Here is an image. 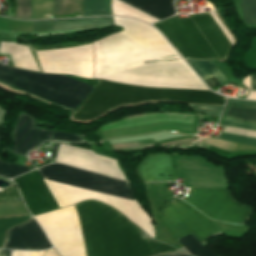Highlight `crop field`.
<instances>
[{"instance_id":"crop-field-15","label":"crop field","mask_w":256,"mask_h":256,"mask_svg":"<svg viewBox=\"0 0 256 256\" xmlns=\"http://www.w3.org/2000/svg\"><path fill=\"white\" fill-rule=\"evenodd\" d=\"M193 118L194 116H187V115L147 114V115L127 118L123 121L109 124L101 128V131L138 126V125H145V124H152V123H158V122H164V121L193 123Z\"/></svg>"},{"instance_id":"crop-field-28","label":"crop field","mask_w":256,"mask_h":256,"mask_svg":"<svg viewBox=\"0 0 256 256\" xmlns=\"http://www.w3.org/2000/svg\"><path fill=\"white\" fill-rule=\"evenodd\" d=\"M12 256H44V251H41V252L14 251Z\"/></svg>"},{"instance_id":"crop-field-21","label":"crop field","mask_w":256,"mask_h":256,"mask_svg":"<svg viewBox=\"0 0 256 256\" xmlns=\"http://www.w3.org/2000/svg\"><path fill=\"white\" fill-rule=\"evenodd\" d=\"M224 132L238 134V135H244V136H250V137H256V132L241 130V129H237V128L225 127ZM226 133L222 134L221 139L256 146V138H250V137H244V136H238V135H232V134H226Z\"/></svg>"},{"instance_id":"crop-field-12","label":"crop field","mask_w":256,"mask_h":256,"mask_svg":"<svg viewBox=\"0 0 256 256\" xmlns=\"http://www.w3.org/2000/svg\"><path fill=\"white\" fill-rule=\"evenodd\" d=\"M51 247L38 224L31 218L7 233L4 244L6 249L41 250Z\"/></svg>"},{"instance_id":"crop-field-1","label":"crop field","mask_w":256,"mask_h":256,"mask_svg":"<svg viewBox=\"0 0 256 256\" xmlns=\"http://www.w3.org/2000/svg\"><path fill=\"white\" fill-rule=\"evenodd\" d=\"M37 170L45 179L136 201L127 182L59 164ZM45 179L43 180L59 208L83 199L103 201L123 212L132 222L155 238L152 220L138 202ZM95 200L74 205L86 256H153L175 251L167 245L144 239L140 228L123 214ZM74 207L72 205L35 216L61 256H85Z\"/></svg>"},{"instance_id":"crop-field-3","label":"crop field","mask_w":256,"mask_h":256,"mask_svg":"<svg viewBox=\"0 0 256 256\" xmlns=\"http://www.w3.org/2000/svg\"><path fill=\"white\" fill-rule=\"evenodd\" d=\"M227 98L205 91L155 89L100 80L87 99L71 114L74 121H91L115 107L143 102L172 101L224 105ZM193 110L220 115L223 106L189 104Z\"/></svg>"},{"instance_id":"crop-field-25","label":"crop field","mask_w":256,"mask_h":256,"mask_svg":"<svg viewBox=\"0 0 256 256\" xmlns=\"http://www.w3.org/2000/svg\"><path fill=\"white\" fill-rule=\"evenodd\" d=\"M17 18L30 19V0H15Z\"/></svg>"},{"instance_id":"crop-field-10","label":"crop field","mask_w":256,"mask_h":256,"mask_svg":"<svg viewBox=\"0 0 256 256\" xmlns=\"http://www.w3.org/2000/svg\"><path fill=\"white\" fill-rule=\"evenodd\" d=\"M55 161L126 180L117 161L96 155L90 150L61 144Z\"/></svg>"},{"instance_id":"crop-field-4","label":"crop field","mask_w":256,"mask_h":256,"mask_svg":"<svg viewBox=\"0 0 256 256\" xmlns=\"http://www.w3.org/2000/svg\"><path fill=\"white\" fill-rule=\"evenodd\" d=\"M153 26L187 59L226 58L232 47L210 12L189 18L176 15Z\"/></svg>"},{"instance_id":"crop-field-29","label":"crop field","mask_w":256,"mask_h":256,"mask_svg":"<svg viewBox=\"0 0 256 256\" xmlns=\"http://www.w3.org/2000/svg\"><path fill=\"white\" fill-rule=\"evenodd\" d=\"M45 256H59L54 249H49L46 251Z\"/></svg>"},{"instance_id":"crop-field-34","label":"crop field","mask_w":256,"mask_h":256,"mask_svg":"<svg viewBox=\"0 0 256 256\" xmlns=\"http://www.w3.org/2000/svg\"><path fill=\"white\" fill-rule=\"evenodd\" d=\"M161 256V255H160Z\"/></svg>"},{"instance_id":"crop-field-30","label":"crop field","mask_w":256,"mask_h":256,"mask_svg":"<svg viewBox=\"0 0 256 256\" xmlns=\"http://www.w3.org/2000/svg\"><path fill=\"white\" fill-rule=\"evenodd\" d=\"M248 90H254V91H256V75L254 76V78H253V80H252V83H251V85H250V87H249Z\"/></svg>"},{"instance_id":"crop-field-5","label":"crop field","mask_w":256,"mask_h":256,"mask_svg":"<svg viewBox=\"0 0 256 256\" xmlns=\"http://www.w3.org/2000/svg\"><path fill=\"white\" fill-rule=\"evenodd\" d=\"M0 81L8 83L12 86L22 88L31 93L40 95L51 101H55L65 105L71 109H76L87 94L92 90L93 86L81 83L64 75L39 74L27 72L0 64ZM10 88L20 90L26 93L28 91L12 87L8 84L2 83ZM29 93V94H31ZM31 94L35 97L63 107L72 112V110L44 99L40 96Z\"/></svg>"},{"instance_id":"crop-field-16","label":"crop field","mask_w":256,"mask_h":256,"mask_svg":"<svg viewBox=\"0 0 256 256\" xmlns=\"http://www.w3.org/2000/svg\"><path fill=\"white\" fill-rule=\"evenodd\" d=\"M105 25H113L111 17L43 21V33Z\"/></svg>"},{"instance_id":"crop-field-31","label":"crop field","mask_w":256,"mask_h":256,"mask_svg":"<svg viewBox=\"0 0 256 256\" xmlns=\"http://www.w3.org/2000/svg\"><path fill=\"white\" fill-rule=\"evenodd\" d=\"M59 145H60V144H57V143H55V145H54L52 160L55 159V156H56V153H57V151H58Z\"/></svg>"},{"instance_id":"crop-field-8","label":"crop field","mask_w":256,"mask_h":256,"mask_svg":"<svg viewBox=\"0 0 256 256\" xmlns=\"http://www.w3.org/2000/svg\"><path fill=\"white\" fill-rule=\"evenodd\" d=\"M37 53L42 71L45 73H63L92 78L93 44Z\"/></svg>"},{"instance_id":"crop-field-19","label":"crop field","mask_w":256,"mask_h":256,"mask_svg":"<svg viewBox=\"0 0 256 256\" xmlns=\"http://www.w3.org/2000/svg\"><path fill=\"white\" fill-rule=\"evenodd\" d=\"M229 102L256 105V101H240V100L229 99L227 102V105ZM227 105H226V108H227ZM225 110H224V113H225ZM224 116L256 123V106L238 105V104L230 103Z\"/></svg>"},{"instance_id":"crop-field-2","label":"crop field","mask_w":256,"mask_h":256,"mask_svg":"<svg viewBox=\"0 0 256 256\" xmlns=\"http://www.w3.org/2000/svg\"><path fill=\"white\" fill-rule=\"evenodd\" d=\"M123 31L95 41V79L164 88L209 90L165 39L134 19L113 17Z\"/></svg>"},{"instance_id":"crop-field-23","label":"crop field","mask_w":256,"mask_h":256,"mask_svg":"<svg viewBox=\"0 0 256 256\" xmlns=\"http://www.w3.org/2000/svg\"><path fill=\"white\" fill-rule=\"evenodd\" d=\"M241 7L245 24L256 25V0H241Z\"/></svg>"},{"instance_id":"crop-field-14","label":"crop field","mask_w":256,"mask_h":256,"mask_svg":"<svg viewBox=\"0 0 256 256\" xmlns=\"http://www.w3.org/2000/svg\"><path fill=\"white\" fill-rule=\"evenodd\" d=\"M138 175L144 182L175 181L170 156L164 154L149 155L144 159Z\"/></svg>"},{"instance_id":"crop-field-22","label":"crop field","mask_w":256,"mask_h":256,"mask_svg":"<svg viewBox=\"0 0 256 256\" xmlns=\"http://www.w3.org/2000/svg\"><path fill=\"white\" fill-rule=\"evenodd\" d=\"M178 241L194 256H218L203 247L192 234L180 238Z\"/></svg>"},{"instance_id":"crop-field-32","label":"crop field","mask_w":256,"mask_h":256,"mask_svg":"<svg viewBox=\"0 0 256 256\" xmlns=\"http://www.w3.org/2000/svg\"><path fill=\"white\" fill-rule=\"evenodd\" d=\"M10 251L0 250V256H9Z\"/></svg>"},{"instance_id":"crop-field-11","label":"crop field","mask_w":256,"mask_h":256,"mask_svg":"<svg viewBox=\"0 0 256 256\" xmlns=\"http://www.w3.org/2000/svg\"><path fill=\"white\" fill-rule=\"evenodd\" d=\"M33 216L58 209L37 170L13 179Z\"/></svg>"},{"instance_id":"crop-field-24","label":"crop field","mask_w":256,"mask_h":256,"mask_svg":"<svg viewBox=\"0 0 256 256\" xmlns=\"http://www.w3.org/2000/svg\"><path fill=\"white\" fill-rule=\"evenodd\" d=\"M29 171H31L30 168L16 166L0 161V175L6 178H14Z\"/></svg>"},{"instance_id":"crop-field-26","label":"crop field","mask_w":256,"mask_h":256,"mask_svg":"<svg viewBox=\"0 0 256 256\" xmlns=\"http://www.w3.org/2000/svg\"><path fill=\"white\" fill-rule=\"evenodd\" d=\"M28 218L29 217L0 220V246L3 243V235H4L5 231L13 225L16 226V225H19V224L25 222Z\"/></svg>"},{"instance_id":"crop-field-6","label":"crop field","mask_w":256,"mask_h":256,"mask_svg":"<svg viewBox=\"0 0 256 256\" xmlns=\"http://www.w3.org/2000/svg\"><path fill=\"white\" fill-rule=\"evenodd\" d=\"M161 217L176 239L192 233L204 245L221 233L207 217L179 199L172 198L161 211Z\"/></svg>"},{"instance_id":"crop-field-17","label":"crop field","mask_w":256,"mask_h":256,"mask_svg":"<svg viewBox=\"0 0 256 256\" xmlns=\"http://www.w3.org/2000/svg\"><path fill=\"white\" fill-rule=\"evenodd\" d=\"M0 54L11 55L13 66L40 72L28 46L0 43Z\"/></svg>"},{"instance_id":"crop-field-13","label":"crop field","mask_w":256,"mask_h":256,"mask_svg":"<svg viewBox=\"0 0 256 256\" xmlns=\"http://www.w3.org/2000/svg\"><path fill=\"white\" fill-rule=\"evenodd\" d=\"M110 14V0H84V15ZM83 15V0H54L53 16Z\"/></svg>"},{"instance_id":"crop-field-33","label":"crop field","mask_w":256,"mask_h":256,"mask_svg":"<svg viewBox=\"0 0 256 256\" xmlns=\"http://www.w3.org/2000/svg\"><path fill=\"white\" fill-rule=\"evenodd\" d=\"M163 256H187V255H179V254H163Z\"/></svg>"},{"instance_id":"crop-field-9","label":"crop field","mask_w":256,"mask_h":256,"mask_svg":"<svg viewBox=\"0 0 256 256\" xmlns=\"http://www.w3.org/2000/svg\"><path fill=\"white\" fill-rule=\"evenodd\" d=\"M12 138L15 144L12 152L22 156H26L27 152L34 148L38 149L50 140L84 142L78 135L36 129L33 126V118L25 114H20Z\"/></svg>"},{"instance_id":"crop-field-7","label":"crop field","mask_w":256,"mask_h":256,"mask_svg":"<svg viewBox=\"0 0 256 256\" xmlns=\"http://www.w3.org/2000/svg\"><path fill=\"white\" fill-rule=\"evenodd\" d=\"M185 202L202 211L211 219L235 224H244L252 216L253 210L233 200L229 190L192 189Z\"/></svg>"},{"instance_id":"crop-field-18","label":"crop field","mask_w":256,"mask_h":256,"mask_svg":"<svg viewBox=\"0 0 256 256\" xmlns=\"http://www.w3.org/2000/svg\"><path fill=\"white\" fill-rule=\"evenodd\" d=\"M159 20L175 14L173 0H121Z\"/></svg>"},{"instance_id":"crop-field-20","label":"crop field","mask_w":256,"mask_h":256,"mask_svg":"<svg viewBox=\"0 0 256 256\" xmlns=\"http://www.w3.org/2000/svg\"><path fill=\"white\" fill-rule=\"evenodd\" d=\"M203 81L216 77L220 84L225 82V76L218 71L210 60H186Z\"/></svg>"},{"instance_id":"crop-field-27","label":"crop field","mask_w":256,"mask_h":256,"mask_svg":"<svg viewBox=\"0 0 256 256\" xmlns=\"http://www.w3.org/2000/svg\"><path fill=\"white\" fill-rule=\"evenodd\" d=\"M222 125L236 126V127H242V128H248V129L256 130L255 125L246 124V123H242V122H238V121H234V120H230V119H226V118L223 119Z\"/></svg>"}]
</instances>
